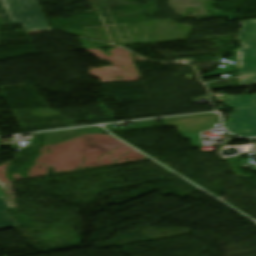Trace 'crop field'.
<instances>
[{
  "label": "crop field",
  "mask_w": 256,
  "mask_h": 256,
  "mask_svg": "<svg viewBox=\"0 0 256 256\" xmlns=\"http://www.w3.org/2000/svg\"><path fill=\"white\" fill-rule=\"evenodd\" d=\"M92 9H101L125 4V0H88Z\"/></svg>",
  "instance_id": "crop-field-6"
},
{
  "label": "crop field",
  "mask_w": 256,
  "mask_h": 256,
  "mask_svg": "<svg viewBox=\"0 0 256 256\" xmlns=\"http://www.w3.org/2000/svg\"><path fill=\"white\" fill-rule=\"evenodd\" d=\"M227 101L222 102L224 106L231 108H242L256 105V94L226 97Z\"/></svg>",
  "instance_id": "crop-field-5"
},
{
  "label": "crop field",
  "mask_w": 256,
  "mask_h": 256,
  "mask_svg": "<svg viewBox=\"0 0 256 256\" xmlns=\"http://www.w3.org/2000/svg\"><path fill=\"white\" fill-rule=\"evenodd\" d=\"M4 194L2 190L0 189V212L5 210L7 208V204L5 203L4 199Z\"/></svg>",
  "instance_id": "crop-field-9"
},
{
  "label": "crop field",
  "mask_w": 256,
  "mask_h": 256,
  "mask_svg": "<svg viewBox=\"0 0 256 256\" xmlns=\"http://www.w3.org/2000/svg\"><path fill=\"white\" fill-rule=\"evenodd\" d=\"M14 23H24L26 30L49 28L37 0H4Z\"/></svg>",
  "instance_id": "crop-field-1"
},
{
  "label": "crop field",
  "mask_w": 256,
  "mask_h": 256,
  "mask_svg": "<svg viewBox=\"0 0 256 256\" xmlns=\"http://www.w3.org/2000/svg\"><path fill=\"white\" fill-rule=\"evenodd\" d=\"M224 126L237 136H256V106L235 109Z\"/></svg>",
  "instance_id": "crop-field-2"
},
{
  "label": "crop field",
  "mask_w": 256,
  "mask_h": 256,
  "mask_svg": "<svg viewBox=\"0 0 256 256\" xmlns=\"http://www.w3.org/2000/svg\"><path fill=\"white\" fill-rule=\"evenodd\" d=\"M14 24L3 2L0 0V25Z\"/></svg>",
  "instance_id": "crop-field-7"
},
{
  "label": "crop field",
  "mask_w": 256,
  "mask_h": 256,
  "mask_svg": "<svg viewBox=\"0 0 256 256\" xmlns=\"http://www.w3.org/2000/svg\"><path fill=\"white\" fill-rule=\"evenodd\" d=\"M0 216V230L17 226V224L10 218V216L5 211L1 212Z\"/></svg>",
  "instance_id": "crop-field-8"
},
{
  "label": "crop field",
  "mask_w": 256,
  "mask_h": 256,
  "mask_svg": "<svg viewBox=\"0 0 256 256\" xmlns=\"http://www.w3.org/2000/svg\"><path fill=\"white\" fill-rule=\"evenodd\" d=\"M243 25L238 38L243 47L256 46V19L239 22Z\"/></svg>",
  "instance_id": "crop-field-4"
},
{
  "label": "crop field",
  "mask_w": 256,
  "mask_h": 256,
  "mask_svg": "<svg viewBox=\"0 0 256 256\" xmlns=\"http://www.w3.org/2000/svg\"><path fill=\"white\" fill-rule=\"evenodd\" d=\"M237 56L239 85H256V47L237 49Z\"/></svg>",
  "instance_id": "crop-field-3"
}]
</instances>
